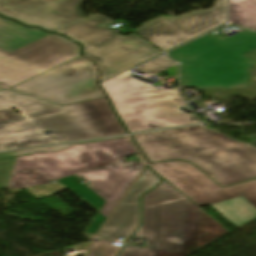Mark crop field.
Segmentation results:
<instances>
[{
    "label": "crop field",
    "instance_id": "crop-field-1",
    "mask_svg": "<svg viewBox=\"0 0 256 256\" xmlns=\"http://www.w3.org/2000/svg\"><path fill=\"white\" fill-rule=\"evenodd\" d=\"M124 133L106 97L59 106L9 90L0 92V150Z\"/></svg>",
    "mask_w": 256,
    "mask_h": 256
},
{
    "label": "crop field",
    "instance_id": "crop-field-2",
    "mask_svg": "<svg viewBox=\"0 0 256 256\" xmlns=\"http://www.w3.org/2000/svg\"><path fill=\"white\" fill-rule=\"evenodd\" d=\"M142 222L133 237L146 248L126 245L119 256H187L230 232L164 180L143 196Z\"/></svg>",
    "mask_w": 256,
    "mask_h": 256
},
{
    "label": "crop field",
    "instance_id": "crop-field-3",
    "mask_svg": "<svg viewBox=\"0 0 256 256\" xmlns=\"http://www.w3.org/2000/svg\"><path fill=\"white\" fill-rule=\"evenodd\" d=\"M133 137L151 162L189 161L223 187L256 178V148L206 128Z\"/></svg>",
    "mask_w": 256,
    "mask_h": 256
},
{
    "label": "crop field",
    "instance_id": "crop-field-4",
    "mask_svg": "<svg viewBox=\"0 0 256 256\" xmlns=\"http://www.w3.org/2000/svg\"><path fill=\"white\" fill-rule=\"evenodd\" d=\"M256 48V32L231 38L208 34L168 55L181 63V88L246 87L256 61L243 54Z\"/></svg>",
    "mask_w": 256,
    "mask_h": 256
},
{
    "label": "crop field",
    "instance_id": "crop-field-5",
    "mask_svg": "<svg viewBox=\"0 0 256 256\" xmlns=\"http://www.w3.org/2000/svg\"><path fill=\"white\" fill-rule=\"evenodd\" d=\"M77 144L0 153V158L33 153V155L17 157L13 170L26 171L27 189L137 153L128 138Z\"/></svg>",
    "mask_w": 256,
    "mask_h": 256
},
{
    "label": "crop field",
    "instance_id": "crop-field-6",
    "mask_svg": "<svg viewBox=\"0 0 256 256\" xmlns=\"http://www.w3.org/2000/svg\"><path fill=\"white\" fill-rule=\"evenodd\" d=\"M101 86L129 133L198 123L193 114L177 108L185 105L177 90L155 89L131 79L128 71Z\"/></svg>",
    "mask_w": 256,
    "mask_h": 256
},
{
    "label": "crop field",
    "instance_id": "crop-field-7",
    "mask_svg": "<svg viewBox=\"0 0 256 256\" xmlns=\"http://www.w3.org/2000/svg\"><path fill=\"white\" fill-rule=\"evenodd\" d=\"M150 166L197 204L208 205L236 228L256 218V180L222 188L188 163L175 161Z\"/></svg>",
    "mask_w": 256,
    "mask_h": 256
},
{
    "label": "crop field",
    "instance_id": "crop-field-8",
    "mask_svg": "<svg viewBox=\"0 0 256 256\" xmlns=\"http://www.w3.org/2000/svg\"><path fill=\"white\" fill-rule=\"evenodd\" d=\"M97 75L92 62L80 56L9 90L63 105L104 97Z\"/></svg>",
    "mask_w": 256,
    "mask_h": 256
},
{
    "label": "crop field",
    "instance_id": "crop-field-9",
    "mask_svg": "<svg viewBox=\"0 0 256 256\" xmlns=\"http://www.w3.org/2000/svg\"><path fill=\"white\" fill-rule=\"evenodd\" d=\"M141 162H115L100 168L77 174L89 182L88 185L78 183L75 175L60 179L65 186L86 201L100 213L84 231L95 234L100 225L111 213L131 183L140 174L145 162L138 155Z\"/></svg>",
    "mask_w": 256,
    "mask_h": 256
},
{
    "label": "crop field",
    "instance_id": "crop-field-10",
    "mask_svg": "<svg viewBox=\"0 0 256 256\" xmlns=\"http://www.w3.org/2000/svg\"><path fill=\"white\" fill-rule=\"evenodd\" d=\"M79 46L50 35L11 53L0 49V86L9 89L78 56Z\"/></svg>",
    "mask_w": 256,
    "mask_h": 256
},
{
    "label": "crop field",
    "instance_id": "crop-field-11",
    "mask_svg": "<svg viewBox=\"0 0 256 256\" xmlns=\"http://www.w3.org/2000/svg\"><path fill=\"white\" fill-rule=\"evenodd\" d=\"M226 22V0L208 10L143 23L135 32L163 52ZM221 26V25H220Z\"/></svg>",
    "mask_w": 256,
    "mask_h": 256
},
{
    "label": "crop field",
    "instance_id": "crop-field-12",
    "mask_svg": "<svg viewBox=\"0 0 256 256\" xmlns=\"http://www.w3.org/2000/svg\"><path fill=\"white\" fill-rule=\"evenodd\" d=\"M87 0H0V14L25 25L57 32L86 19L80 6Z\"/></svg>",
    "mask_w": 256,
    "mask_h": 256
},
{
    "label": "crop field",
    "instance_id": "crop-field-13",
    "mask_svg": "<svg viewBox=\"0 0 256 256\" xmlns=\"http://www.w3.org/2000/svg\"><path fill=\"white\" fill-rule=\"evenodd\" d=\"M160 54L131 33L85 55L96 61L103 81Z\"/></svg>",
    "mask_w": 256,
    "mask_h": 256
},
{
    "label": "crop field",
    "instance_id": "crop-field-14",
    "mask_svg": "<svg viewBox=\"0 0 256 256\" xmlns=\"http://www.w3.org/2000/svg\"><path fill=\"white\" fill-rule=\"evenodd\" d=\"M147 166L125 199L101 229L97 236L127 241L140 224V195L161 181Z\"/></svg>",
    "mask_w": 256,
    "mask_h": 256
},
{
    "label": "crop field",
    "instance_id": "crop-field-15",
    "mask_svg": "<svg viewBox=\"0 0 256 256\" xmlns=\"http://www.w3.org/2000/svg\"><path fill=\"white\" fill-rule=\"evenodd\" d=\"M113 22L109 18L96 14L80 23L70 26L57 33H61L84 46V54L105 45L120 37L118 33L106 25Z\"/></svg>",
    "mask_w": 256,
    "mask_h": 256
},
{
    "label": "crop field",
    "instance_id": "crop-field-16",
    "mask_svg": "<svg viewBox=\"0 0 256 256\" xmlns=\"http://www.w3.org/2000/svg\"><path fill=\"white\" fill-rule=\"evenodd\" d=\"M50 35L35 28H24L0 17V48L8 52Z\"/></svg>",
    "mask_w": 256,
    "mask_h": 256
},
{
    "label": "crop field",
    "instance_id": "crop-field-17",
    "mask_svg": "<svg viewBox=\"0 0 256 256\" xmlns=\"http://www.w3.org/2000/svg\"><path fill=\"white\" fill-rule=\"evenodd\" d=\"M230 23L256 30V0H230Z\"/></svg>",
    "mask_w": 256,
    "mask_h": 256
},
{
    "label": "crop field",
    "instance_id": "crop-field-18",
    "mask_svg": "<svg viewBox=\"0 0 256 256\" xmlns=\"http://www.w3.org/2000/svg\"><path fill=\"white\" fill-rule=\"evenodd\" d=\"M136 69L152 75H156L165 70L169 73V76H177L176 63L167 57H160Z\"/></svg>",
    "mask_w": 256,
    "mask_h": 256
},
{
    "label": "crop field",
    "instance_id": "crop-field-19",
    "mask_svg": "<svg viewBox=\"0 0 256 256\" xmlns=\"http://www.w3.org/2000/svg\"><path fill=\"white\" fill-rule=\"evenodd\" d=\"M112 244V241L98 239L97 243H91L86 256H116L122 247Z\"/></svg>",
    "mask_w": 256,
    "mask_h": 256
},
{
    "label": "crop field",
    "instance_id": "crop-field-20",
    "mask_svg": "<svg viewBox=\"0 0 256 256\" xmlns=\"http://www.w3.org/2000/svg\"><path fill=\"white\" fill-rule=\"evenodd\" d=\"M15 158L0 159V188H7Z\"/></svg>",
    "mask_w": 256,
    "mask_h": 256
},
{
    "label": "crop field",
    "instance_id": "crop-field-21",
    "mask_svg": "<svg viewBox=\"0 0 256 256\" xmlns=\"http://www.w3.org/2000/svg\"><path fill=\"white\" fill-rule=\"evenodd\" d=\"M8 188L25 189V172H13Z\"/></svg>",
    "mask_w": 256,
    "mask_h": 256
},
{
    "label": "crop field",
    "instance_id": "crop-field-22",
    "mask_svg": "<svg viewBox=\"0 0 256 256\" xmlns=\"http://www.w3.org/2000/svg\"><path fill=\"white\" fill-rule=\"evenodd\" d=\"M245 55H247V56H249V57H251V58L256 60V49L251 51V52H249V53H247V54H245Z\"/></svg>",
    "mask_w": 256,
    "mask_h": 256
},
{
    "label": "crop field",
    "instance_id": "crop-field-23",
    "mask_svg": "<svg viewBox=\"0 0 256 256\" xmlns=\"http://www.w3.org/2000/svg\"><path fill=\"white\" fill-rule=\"evenodd\" d=\"M250 145H253V146H255V147H256V141H254V142L250 143Z\"/></svg>",
    "mask_w": 256,
    "mask_h": 256
},
{
    "label": "crop field",
    "instance_id": "crop-field-24",
    "mask_svg": "<svg viewBox=\"0 0 256 256\" xmlns=\"http://www.w3.org/2000/svg\"><path fill=\"white\" fill-rule=\"evenodd\" d=\"M0 90H4V89L0 87Z\"/></svg>",
    "mask_w": 256,
    "mask_h": 256
}]
</instances>
